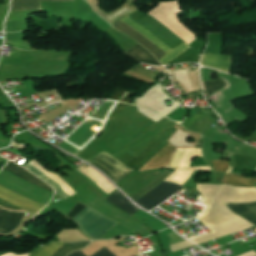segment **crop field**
<instances>
[{
	"instance_id": "obj_1",
	"label": "crop field",
	"mask_w": 256,
	"mask_h": 256,
	"mask_svg": "<svg viewBox=\"0 0 256 256\" xmlns=\"http://www.w3.org/2000/svg\"><path fill=\"white\" fill-rule=\"evenodd\" d=\"M197 190L204 197L203 202L207 205V209L198 220L212 233L190 239L191 241L199 244L254 226L235 215L222 202L256 201V188L199 184Z\"/></svg>"
},
{
	"instance_id": "obj_2",
	"label": "crop field",
	"mask_w": 256,
	"mask_h": 256,
	"mask_svg": "<svg viewBox=\"0 0 256 256\" xmlns=\"http://www.w3.org/2000/svg\"><path fill=\"white\" fill-rule=\"evenodd\" d=\"M3 170H5L11 174H14L22 179H25L31 183H34V184L54 193V190L50 186H48L46 183H44L42 180H40L34 174H32L25 168L15 164L11 161L3 168ZM0 198L4 199L12 204H15L23 209H26L34 214H37L40 210H42L44 208V206H42L38 203H35L27 198H24L18 194H15L1 186H0Z\"/></svg>"
},
{
	"instance_id": "obj_3",
	"label": "crop field",
	"mask_w": 256,
	"mask_h": 256,
	"mask_svg": "<svg viewBox=\"0 0 256 256\" xmlns=\"http://www.w3.org/2000/svg\"><path fill=\"white\" fill-rule=\"evenodd\" d=\"M72 221L78 224L81 231L87 234L91 240L100 239L110 228L118 223L88 206Z\"/></svg>"
},
{
	"instance_id": "obj_4",
	"label": "crop field",
	"mask_w": 256,
	"mask_h": 256,
	"mask_svg": "<svg viewBox=\"0 0 256 256\" xmlns=\"http://www.w3.org/2000/svg\"><path fill=\"white\" fill-rule=\"evenodd\" d=\"M94 166L98 167L105 174H107L115 183L122 180L126 175L133 170L127 168L121 161L113 158L111 155L103 152L89 161Z\"/></svg>"
},
{
	"instance_id": "obj_5",
	"label": "crop field",
	"mask_w": 256,
	"mask_h": 256,
	"mask_svg": "<svg viewBox=\"0 0 256 256\" xmlns=\"http://www.w3.org/2000/svg\"><path fill=\"white\" fill-rule=\"evenodd\" d=\"M121 21L125 22L126 24L133 27L135 30H137L139 33H141L144 37H146L149 41H151L153 44L158 46L160 49H162L167 54L160 59V62L163 65H166L171 60H173L175 57H177L179 54H181L183 51H185L188 46L186 43L181 44L180 46L176 47L175 49L169 48L167 45H165L162 41H160L158 38H156L154 35H152L150 32H148L144 27H142L139 23L132 20L128 16L120 19Z\"/></svg>"
},
{
	"instance_id": "obj_6",
	"label": "crop field",
	"mask_w": 256,
	"mask_h": 256,
	"mask_svg": "<svg viewBox=\"0 0 256 256\" xmlns=\"http://www.w3.org/2000/svg\"><path fill=\"white\" fill-rule=\"evenodd\" d=\"M180 188H182V186L163 181L156 188H154L152 191H150L148 194L138 200L137 203L144 208L150 210L168 197H170Z\"/></svg>"
},
{
	"instance_id": "obj_7",
	"label": "crop field",
	"mask_w": 256,
	"mask_h": 256,
	"mask_svg": "<svg viewBox=\"0 0 256 256\" xmlns=\"http://www.w3.org/2000/svg\"><path fill=\"white\" fill-rule=\"evenodd\" d=\"M62 244L63 243L60 242L50 243L35 251L30 256H51ZM88 244L89 242L65 243L53 254V256H66L68 253L84 248Z\"/></svg>"
},
{
	"instance_id": "obj_8",
	"label": "crop field",
	"mask_w": 256,
	"mask_h": 256,
	"mask_svg": "<svg viewBox=\"0 0 256 256\" xmlns=\"http://www.w3.org/2000/svg\"><path fill=\"white\" fill-rule=\"evenodd\" d=\"M113 26L121 30L122 32L126 33L127 35L131 36L133 39H135L137 42H139L141 45H143L145 48L151 51L158 59L166 54L162 50L157 48L155 45H153L151 42H149L137 31H135L133 28L124 24L123 22L118 20Z\"/></svg>"
},
{
	"instance_id": "obj_9",
	"label": "crop field",
	"mask_w": 256,
	"mask_h": 256,
	"mask_svg": "<svg viewBox=\"0 0 256 256\" xmlns=\"http://www.w3.org/2000/svg\"><path fill=\"white\" fill-rule=\"evenodd\" d=\"M175 149L176 148H172L168 143L144 167H142L139 170V172L158 168V167H168Z\"/></svg>"
},
{
	"instance_id": "obj_10",
	"label": "crop field",
	"mask_w": 256,
	"mask_h": 256,
	"mask_svg": "<svg viewBox=\"0 0 256 256\" xmlns=\"http://www.w3.org/2000/svg\"><path fill=\"white\" fill-rule=\"evenodd\" d=\"M233 212L256 225V202L251 203H224Z\"/></svg>"
},
{
	"instance_id": "obj_11",
	"label": "crop field",
	"mask_w": 256,
	"mask_h": 256,
	"mask_svg": "<svg viewBox=\"0 0 256 256\" xmlns=\"http://www.w3.org/2000/svg\"><path fill=\"white\" fill-rule=\"evenodd\" d=\"M134 93L117 88L115 92L107 100H120L117 106L110 114L108 120L115 119L117 114L124 111L125 107L131 103Z\"/></svg>"
},
{
	"instance_id": "obj_12",
	"label": "crop field",
	"mask_w": 256,
	"mask_h": 256,
	"mask_svg": "<svg viewBox=\"0 0 256 256\" xmlns=\"http://www.w3.org/2000/svg\"><path fill=\"white\" fill-rule=\"evenodd\" d=\"M24 212H11L0 208V232L7 233L15 227Z\"/></svg>"
},
{
	"instance_id": "obj_13",
	"label": "crop field",
	"mask_w": 256,
	"mask_h": 256,
	"mask_svg": "<svg viewBox=\"0 0 256 256\" xmlns=\"http://www.w3.org/2000/svg\"><path fill=\"white\" fill-rule=\"evenodd\" d=\"M230 59L231 57H228V56H216V55L203 54L201 64L222 69L229 72Z\"/></svg>"
},
{
	"instance_id": "obj_14",
	"label": "crop field",
	"mask_w": 256,
	"mask_h": 256,
	"mask_svg": "<svg viewBox=\"0 0 256 256\" xmlns=\"http://www.w3.org/2000/svg\"><path fill=\"white\" fill-rule=\"evenodd\" d=\"M28 170H30L32 173H34L35 175H37L38 177H40L42 180H44L45 182H47L49 185H51L55 191L63 198L67 199L69 197H71L70 195H68L65 190L62 188V186L57 183L55 180H53L51 177H49L48 175H46L44 172H42L40 169H38L37 167H35L33 164H31L30 162L26 165H24Z\"/></svg>"
},
{
	"instance_id": "obj_15",
	"label": "crop field",
	"mask_w": 256,
	"mask_h": 256,
	"mask_svg": "<svg viewBox=\"0 0 256 256\" xmlns=\"http://www.w3.org/2000/svg\"><path fill=\"white\" fill-rule=\"evenodd\" d=\"M139 45H135L125 53L139 62L151 65H160L154 56H152L148 51L143 49L144 47L142 48Z\"/></svg>"
},
{
	"instance_id": "obj_16",
	"label": "crop field",
	"mask_w": 256,
	"mask_h": 256,
	"mask_svg": "<svg viewBox=\"0 0 256 256\" xmlns=\"http://www.w3.org/2000/svg\"><path fill=\"white\" fill-rule=\"evenodd\" d=\"M106 199L132 215L140 210L135 207L119 190Z\"/></svg>"
},
{
	"instance_id": "obj_17",
	"label": "crop field",
	"mask_w": 256,
	"mask_h": 256,
	"mask_svg": "<svg viewBox=\"0 0 256 256\" xmlns=\"http://www.w3.org/2000/svg\"><path fill=\"white\" fill-rule=\"evenodd\" d=\"M222 183L234 186L255 187L253 183H256V177H245L227 173Z\"/></svg>"
},
{
	"instance_id": "obj_18",
	"label": "crop field",
	"mask_w": 256,
	"mask_h": 256,
	"mask_svg": "<svg viewBox=\"0 0 256 256\" xmlns=\"http://www.w3.org/2000/svg\"><path fill=\"white\" fill-rule=\"evenodd\" d=\"M41 1H73V0H13L11 10L42 9Z\"/></svg>"
},
{
	"instance_id": "obj_19",
	"label": "crop field",
	"mask_w": 256,
	"mask_h": 256,
	"mask_svg": "<svg viewBox=\"0 0 256 256\" xmlns=\"http://www.w3.org/2000/svg\"><path fill=\"white\" fill-rule=\"evenodd\" d=\"M172 171L166 170L160 177H158L156 180H154L152 183H150L148 186H146L144 189H142L139 193H137L135 196L131 197L135 201L140 199L142 196H144L147 192H149L151 189H153L156 185H158L160 182H162L165 178H167Z\"/></svg>"
},
{
	"instance_id": "obj_20",
	"label": "crop field",
	"mask_w": 256,
	"mask_h": 256,
	"mask_svg": "<svg viewBox=\"0 0 256 256\" xmlns=\"http://www.w3.org/2000/svg\"><path fill=\"white\" fill-rule=\"evenodd\" d=\"M204 83L208 94H211L221 87L227 85L224 80L204 81Z\"/></svg>"
},
{
	"instance_id": "obj_21",
	"label": "crop field",
	"mask_w": 256,
	"mask_h": 256,
	"mask_svg": "<svg viewBox=\"0 0 256 256\" xmlns=\"http://www.w3.org/2000/svg\"><path fill=\"white\" fill-rule=\"evenodd\" d=\"M68 256H85V255L83 253H81L80 251H75V252H72L71 254H69ZM92 256H115V255L112 254L108 249H106L104 247L97 253L93 254Z\"/></svg>"
},
{
	"instance_id": "obj_22",
	"label": "crop field",
	"mask_w": 256,
	"mask_h": 256,
	"mask_svg": "<svg viewBox=\"0 0 256 256\" xmlns=\"http://www.w3.org/2000/svg\"><path fill=\"white\" fill-rule=\"evenodd\" d=\"M86 205L78 203L65 217L73 219L79 212H81Z\"/></svg>"
},
{
	"instance_id": "obj_23",
	"label": "crop field",
	"mask_w": 256,
	"mask_h": 256,
	"mask_svg": "<svg viewBox=\"0 0 256 256\" xmlns=\"http://www.w3.org/2000/svg\"><path fill=\"white\" fill-rule=\"evenodd\" d=\"M213 162H214V166H215L216 171L227 172V170L229 168L228 161H213Z\"/></svg>"
},
{
	"instance_id": "obj_24",
	"label": "crop field",
	"mask_w": 256,
	"mask_h": 256,
	"mask_svg": "<svg viewBox=\"0 0 256 256\" xmlns=\"http://www.w3.org/2000/svg\"><path fill=\"white\" fill-rule=\"evenodd\" d=\"M190 246H194V245L187 241H183V242H179V243L170 245L172 252L177 251L182 248L190 247Z\"/></svg>"
}]
</instances>
